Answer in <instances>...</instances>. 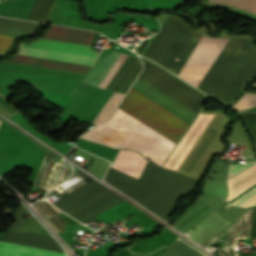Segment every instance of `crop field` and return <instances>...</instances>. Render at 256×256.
<instances>
[{"mask_svg":"<svg viewBox=\"0 0 256 256\" xmlns=\"http://www.w3.org/2000/svg\"><path fill=\"white\" fill-rule=\"evenodd\" d=\"M135 93L129 91L118 108L177 143L189 124ZM118 108L110 120L83 133L81 138L117 149L137 150L160 165L176 143Z\"/></svg>","mask_w":256,"mask_h":256,"instance_id":"8a807250","label":"crop field"},{"mask_svg":"<svg viewBox=\"0 0 256 256\" xmlns=\"http://www.w3.org/2000/svg\"><path fill=\"white\" fill-rule=\"evenodd\" d=\"M105 181L166 220L179 194H187L195 179L164 170L148 161L140 181L109 168Z\"/></svg>","mask_w":256,"mask_h":256,"instance_id":"ac0d7876","label":"crop field"},{"mask_svg":"<svg viewBox=\"0 0 256 256\" xmlns=\"http://www.w3.org/2000/svg\"><path fill=\"white\" fill-rule=\"evenodd\" d=\"M21 45L98 57V54L92 51L90 46L87 45L65 43L44 39H38L31 42L30 44ZM24 46H21L18 54L89 65H93V63L97 60V58L95 57L30 48ZM17 81L25 82L34 87L35 89L67 94H73V92L78 87V85L76 84L0 73V84L13 85Z\"/></svg>","mask_w":256,"mask_h":256,"instance_id":"34b2d1b8","label":"crop field"},{"mask_svg":"<svg viewBox=\"0 0 256 256\" xmlns=\"http://www.w3.org/2000/svg\"><path fill=\"white\" fill-rule=\"evenodd\" d=\"M122 201L93 180L52 204L83 223Z\"/></svg>","mask_w":256,"mask_h":256,"instance_id":"412701ff","label":"crop field"},{"mask_svg":"<svg viewBox=\"0 0 256 256\" xmlns=\"http://www.w3.org/2000/svg\"><path fill=\"white\" fill-rule=\"evenodd\" d=\"M225 40L226 38H211L203 35L176 75L196 87Z\"/></svg>","mask_w":256,"mask_h":256,"instance_id":"f4fd0767","label":"crop field"},{"mask_svg":"<svg viewBox=\"0 0 256 256\" xmlns=\"http://www.w3.org/2000/svg\"><path fill=\"white\" fill-rule=\"evenodd\" d=\"M119 53L117 52H110L108 55H106L104 58H102L100 61H98L95 66L92 68V70L89 72V74L86 76V78L83 80V83L98 86V84L101 82L103 77L106 75L110 67L113 65L115 60L118 58ZM127 58V55L121 54L119 58L116 60L114 65L111 67L107 75L104 77L102 82L99 84V88H105L106 84L109 82V80L112 78V76L115 74V72L118 70V68L121 66V64L124 62V60ZM123 97V94L119 93H113L110 99L107 101L99 115L94 120L95 126L103 122L105 119H107L120 99Z\"/></svg>","mask_w":256,"mask_h":256,"instance_id":"dd49c442","label":"crop field"},{"mask_svg":"<svg viewBox=\"0 0 256 256\" xmlns=\"http://www.w3.org/2000/svg\"><path fill=\"white\" fill-rule=\"evenodd\" d=\"M37 24L0 18V36L16 39L20 36L30 35L34 33ZM12 43L13 40L0 38V55L5 54Z\"/></svg>","mask_w":256,"mask_h":256,"instance_id":"e52e79f7","label":"crop field"},{"mask_svg":"<svg viewBox=\"0 0 256 256\" xmlns=\"http://www.w3.org/2000/svg\"><path fill=\"white\" fill-rule=\"evenodd\" d=\"M146 161V159L134 151L119 150L112 167L138 179Z\"/></svg>","mask_w":256,"mask_h":256,"instance_id":"d8731c3e","label":"crop field"},{"mask_svg":"<svg viewBox=\"0 0 256 256\" xmlns=\"http://www.w3.org/2000/svg\"><path fill=\"white\" fill-rule=\"evenodd\" d=\"M0 252L17 256H66V254L0 242Z\"/></svg>","mask_w":256,"mask_h":256,"instance_id":"5a996713","label":"crop field"},{"mask_svg":"<svg viewBox=\"0 0 256 256\" xmlns=\"http://www.w3.org/2000/svg\"><path fill=\"white\" fill-rule=\"evenodd\" d=\"M254 162H247V163H243V164H232V165H229L228 178H230L231 176L235 175L236 173H238L239 171L243 170L244 168H246L247 166H249L250 164H252ZM254 186H256V185H254ZM253 187H251L250 189H252ZM250 189H248L247 191H249ZM247 191H245V192H247ZM235 199L230 201V203L233 202ZM224 204H227V202H225ZM233 205L241 206V207H245V208H248V207H250L252 205H256V188L253 191H251L250 193H248L247 195H245V196L241 197L240 199H238Z\"/></svg>","mask_w":256,"mask_h":256,"instance_id":"3316defc","label":"crop field"},{"mask_svg":"<svg viewBox=\"0 0 256 256\" xmlns=\"http://www.w3.org/2000/svg\"><path fill=\"white\" fill-rule=\"evenodd\" d=\"M53 0H35L27 19L46 22Z\"/></svg>","mask_w":256,"mask_h":256,"instance_id":"28ad6ade","label":"crop field"},{"mask_svg":"<svg viewBox=\"0 0 256 256\" xmlns=\"http://www.w3.org/2000/svg\"><path fill=\"white\" fill-rule=\"evenodd\" d=\"M198 253L192 247L177 240L173 246L166 247L160 256H197Z\"/></svg>","mask_w":256,"mask_h":256,"instance_id":"d1516ede","label":"crop field"},{"mask_svg":"<svg viewBox=\"0 0 256 256\" xmlns=\"http://www.w3.org/2000/svg\"><path fill=\"white\" fill-rule=\"evenodd\" d=\"M208 2H225L256 14V0H209Z\"/></svg>","mask_w":256,"mask_h":256,"instance_id":"22f410ed","label":"crop field"},{"mask_svg":"<svg viewBox=\"0 0 256 256\" xmlns=\"http://www.w3.org/2000/svg\"><path fill=\"white\" fill-rule=\"evenodd\" d=\"M14 212V211H13ZM28 213V210L20 203V206H18V209L15 210L13 213V219L15 222H13L9 228V230L18 231L27 221L22 216L24 214Z\"/></svg>","mask_w":256,"mask_h":256,"instance_id":"cbeb9de0","label":"crop field"},{"mask_svg":"<svg viewBox=\"0 0 256 256\" xmlns=\"http://www.w3.org/2000/svg\"><path fill=\"white\" fill-rule=\"evenodd\" d=\"M245 122L254 142H256V113H238Z\"/></svg>","mask_w":256,"mask_h":256,"instance_id":"5142ce71","label":"crop field"},{"mask_svg":"<svg viewBox=\"0 0 256 256\" xmlns=\"http://www.w3.org/2000/svg\"><path fill=\"white\" fill-rule=\"evenodd\" d=\"M256 105L254 93H245V95L232 107L238 110H244Z\"/></svg>","mask_w":256,"mask_h":256,"instance_id":"d9b57169","label":"crop field"},{"mask_svg":"<svg viewBox=\"0 0 256 256\" xmlns=\"http://www.w3.org/2000/svg\"><path fill=\"white\" fill-rule=\"evenodd\" d=\"M250 237H256V207L253 210L252 226Z\"/></svg>","mask_w":256,"mask_h":256,"instance_id":"733c2abd","label":"crop field"},{"mask_svg":"<svg viewBox=\"0 0 256 256\" xmlns=\"http://www.w3.org/2000/svg\"><path fill=\"white\" fill-rule=\"evenodd\" d=\"M247 111L256 112V108H253V109H250V110H247Z\"/></svg>","mask_w":256,"mask_h":256,"instance_id":"4a817a6b","label":"crop field"},{"mask_svg":"<svg viewBox=\"0 0 256 256\" xmlns=\"http://www.w3.org/2000/svg\"><path fill=\"white\" fill-rule=\"evenodd\" d=\"M0 256H12V255H7V254L0 253Z\"/></svg>","mask_w":256,"mask_h":256,"instance_id":"bc2a9ffb","label":"crop field"},{"mask_svg":"<svg viewBox=\"0 0 256 256\" xmlns=\"http://www.w3.org/2000/svg\"><path fill=\"white\" fill-rule=\"evenodd\" d=\"M251 87H254V88H256V83L252 84V85H251Z\"/></svg>","mask_w":256,"mask_h":256,"instance_id":"214f88e0","label":"crop field"},{"mask_svg":"<svg viewBox=\"0 0 256 256\" xmlns=\"http://www.w3.org/2000/svg\"><path fill=\"white\" fill-rule=\"evenodd\" d=\"M255 145V148H256V144H254Z\"/></svg>","mask_w":256,"mask_h":256,"instance_id":"92a150f3","label":"crop field"},{"mask_svg":"<svg viewBox=\"0 0 256 256\" xmlns=\"http://www.w3.org/2000/svg\"><path fill=\"white\" fill-rule=\"evenodd\" d=\"M0 123H1V121H0Z\"/></svg>","mask_w":256,"mask_h":256,"instance_id":"dafd665d","label":"crop field"}]
</instances>
